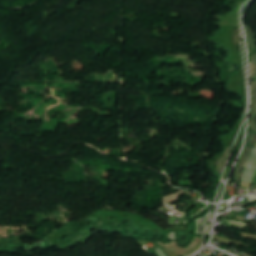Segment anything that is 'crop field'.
<instances>
[{"label":"crop field","instance_id":"crop-field-5","mask_svg":"<svg viewBox=\"0 0 256 256\" xmlns=\"http://www.w3.org/2000/svg\"><path fill=\"white\" fill-rule=\"evenodd\" d=\"M230 148H231V147L227 148V151L225 152V154L223 155L222 159L220 160V162H219V164H218V171H219V174H221V171H222L223 166H224V162H225V160H226L227 157H228Z\"/></svg>","mask_w":256,"mask_h":256},{"label":"crop field","instance_id":"crop-field-1","mask_svg":"<svg viewBox=\"0 0 256 256\" xmlns=\"http://www.w3.org/2000/svg\"><path fill=\"white\" fill-rule=\"evenodd\" d=\"M256 168V147L251 150L244 167L240 181L251 182L254 170Z\"/></svg>","mask_w":256,"mask_h":256},{"label":"crop field","instance_id":"crop-field-7","mask_svg":"<svg viewBox=\"0 0 256 256\" xmlns=\"http://www.w3.org/2000/svg\"><path fill=\"white\" fill-rule=\"evenodd\" d=\"M255 137H256V133H249L248 134L247 144H249V145L254 144Z\"/></svg>","mask_w":256,"mask_h":256},{"label":"crop field","instance_id":"crop-field-8","mask_svg":"<svg viewBox=\"0 0 256 256\" xmlns=\"http://www.w3.org/2000/svg\"><path fill=\"white\" fill-rule=\"evenodd\" d=\"M255 181H256V179H255Z\"/></svg>","mask_w":256,"mask_h":256},{"label":"crop field","instance_id":"crop-field-3","mask_svg":"<svg viewBox=\"0 0 256 256\" xmlns=\"http://www.w3.org/2000/svg\"><path fill=\"white\" fill-rule=\"evenodd\" d=\"M250 148L251 147H247L245 146V149L242 153V156H241V159H240V162L238 164V167L236 169V172H235V180L238 182V177L240 176L241 174V171H242V168H243V165H244V162H245V159L250 151Z\"/></svg>","mask_w":256,"mask_h":256},{"label":"crop field","instance_id":"crop-field-4","mask_svg":"<svg viewBox=\"0 0 256 256\" xmlns=\"http://www.w3.org/2000/svg\"><path fill=\"white\" fill-rule=\"evenodd\" d=\"M247 31V40H248V49L250 50L253 45L256 43L255 34L252 33L250 27H246Z\"/></svg>","mask_w":256,"mask_h":256},{"label":"crop field","instance_id":"crop-field-6","mask_svg":"<svg viewBox=\"0 0 256 256\" xmlns=\"http://www.w3.org/2000/svg\"><path fill=\"white\" fill-rule=\"evenodd\" d=\"M251 77H256V55L253 54V60L250 63Z\"/></svg>","mask_w":256,"mask_h":256},{"label":"crop field","instance_id":"crop-field-2","mask_svg":"<svg viewBox=\"0 0 256 256\" xmlns=\"http://www.w3.org/2000/svg\"><path fill=\"white\" fill-rule=\"evenodd\" d=\"M249 128L256 131V80H252V117Z\"/></svg>","mask_w":256,"mask_h":256}]
</instances>
